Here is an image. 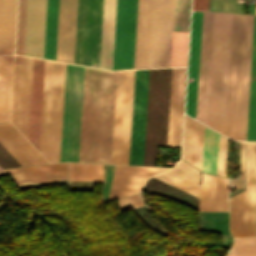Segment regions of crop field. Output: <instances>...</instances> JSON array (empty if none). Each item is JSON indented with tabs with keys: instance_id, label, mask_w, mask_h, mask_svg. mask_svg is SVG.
<instances>
[{
	"instance_id": "obj_9",
	"label": "crop field",
	"mask_w": 256,
	"mask_h": 256,
	"mask_svg": "<svg viewBox=\"0 0 256 256\" xmlns=\"http://www.w3.org/2000/svg\"><path fill=\"white\" fill-rule=\"evenodd\" d=\"M173 0H152L148 68L170 66Z\"/></svg>"
},
{
	"instance_id": "obj_11",
	"label": "crop field",
	"mask_w": 256,
	"mask_h": 256,
	"mask_svg": "<svg viewBox=\"0 0 256 256\" xmlns=\"http://www.w3.org/2000/svg\"><path fill=\"white\" fill-rule=\"evenodd\" d=\"M33 59L15 56L11 122L28 139Z\"/></svg>"
},
{
	"instance_id": "obj_39",
	"label": "crop field",
	"mask_w": 256,
	"mask_h": 256,
	"mask_svg": "<svg viewBox=\"0 0 256 256\" xmlns=\"http://www.w3.org/2000/svg\"><path fill=\"white\" fill-rule=\"evenodd\" d=\"M120 212L129 208L143 206L139 194L118 200Z\"/></svg>"
},
{
	"instance_id": "obj_20",
	"label": "crop field",
	"mask_w": 256,
	"mask_h": 256,
	"mask_svg": "<svg viewBox=\"0 0 256 256\" xmlns=\"http://www.w3.org/2000/svg\"><path fill=\"white\" fill-rule=\"evenodd\" d=\"M199 211H228V179L202 174Z\"/></svg>"
},
{
	"instance_id": "obj_23",
	"label": "crop field",
	"mask_w": 256,
	"mask_h": 256,
	"mask_svg": "<svg viewBox=\"0 0 256 256\" xmlns=\"http://www.w3.org/2000/svg\"><path fill=\"white\" fill-rule=\"evenodd\" d=\"M151 0H138L134 68H147Z\"/></svg>"
},
{
	"instance_id": "obj_5",
	"label": "crop field",
	"mask_w": 256,
	"mask_h": 256,
	"mask_svg": "<svg viewBox=\"0 0 256 256\" xmlns=\"http://www.w3.org/2000/svg\"><path fill=\"white\" fill-rule=\"evenodd\" d=\"M103 0H78L74 63L99 65Z\"/></svg>"
},
{
	"instance_id": "obj_10",
	"label": "crop field",
	"mask_w": 256,
	"mask_h": 256,
	"mask_svg": "<svg viewBox=\"0 0 256 256\" xmlns=\"http://www.w3.org/2000/svg\"><path fill=\"white\" fill-rule=\"evenodd\" d=\"M137 0H117L113 70L133 68Z\"/></svg>"
},
{
	"instance_id": "obj_31",
	"label": "crop field",
	"mask_w": 256,
	"mask_h": 256,
	"mask_svg": "<svg viewBox=\"0 0 256 256\" xmlns=\"http://www.w3.org/2000/svg\"><path fill=\"white\" fill-rule=\"evenodd\" d=\"M58 0H47L44 58L55 60Z\"/></svg>"
},
{
	"instance_id": "obj_21",
	"label": "crop field",
	"mask_w": 256,
	"mask_h": 256,
	"mask_svg": "<svg viewBox=\"0 0 256 256\" xmlns=\"http://www.w3.org/2000/svg\"><path fill=\"white\" fill-rule=\"evenodd\" d=\"M45 61L34 59L29 141L39 151Z\"/></svg>"
},
{
	"instance_id": "obj_13",
	"label": "crop field",
	"mask_w": 256,
	"mask_h": 256,
	"mask_svg": "<svg viewBox=\"0 0 256 256\" xmlns=\"http://www.w3.org/2000/svg\"><path fill=\"white\" fill-rule=\"evenodd\" d=\"M77 0H59L56 60L73 63Z\"/></svg>"
},
{
	"instance_id": "obj_22",
	"label": "crop field",
	"mask_w": 256,
	"mask_h": 256,
	"mask_svg": "<svg viewBox=\"0 0 256 256\" xmlns=\"http://www.w3.org/2000/svg\"><path fill=\"white\" fill-rule=\"evenodd\" d=\"M16 185L67 180V163L9 169Z\"/></svg>"
},
{
	"instance_id": "obj_40",
	"label": "crop field",
	"mask_w": 256,
	"mask_h": 256,
	"mask_svg": "<svg viewBox=\"0 0 256 256\" xmlns=\"http://www.w3.org/2000/svg\"><path fill=\"white\" fill-rule=\"evenodd\" d=\"M208 0H193L192 10L207 11Z\"/></svg>"
},
{
	"instance_id": "obj_4",
	"label": "crop field",
	"mask_w": 256,
	"mask_h": 256,
	"mask_svg": "<svg viewBox=\"0 0 256 256\" xmlns=\"http://www.w3.org/2000/svg\"><path fill=\"white\" fill-rule=\"evenodd\" d=\"M84 67L66 64L60 162H77Z\"/></svg>"
},
{
	"instance_id": "obj_43",
	"label": "crop field",
	"mask_w": 256,
	"mask_h": 256,
	"mask_svg": "<svg viewBox=\"0 0 256 256\" xmlns=\"http://www.w3.org/2000/svg\"><path fill=\"white\" fill-rule=\"evenodd\" d=\"M4 172L1 168H0V173Z\"/></svg>"
},
{
	"instance_id": "obj_8",
	"label": "crop field",
	"mask_w": 256,
	"mask_h": 256,
	"mask_svg": "<svg viewBox=\"0 0 256 256\" xmlns=\"http://www.w3.org/2000/svg\"><path fill=\"white\" fill-rule=\"evenodd\" d=\"M245 15L233 14L225 136L237 140Z\"/></svg>"
},
{
	"instance_id": "obj_3",
	"label": "crop field",
	"mask_w": 256,
	"mask_h": 256,
	"mask_svg": "<svg viewBox=\"0 0 256 256\" xmlns=\"http://www.w3.org/2000/svg\"><path fill=\"white\" fill-rule=\"evenodd\" d=\"M65 64L46 61L40 153L59 162Z\"/></svg>"
},
{
	"instance_id": "obj_37",
	"label": "crop field",
	"mask_w": 256,
	"mask_h": 256,
	"mask_svg": "<svg viewBox=\"0 0 256 256\" xmlns=\"http://www.w3.org/2000/svg\"><path fill=\"white\" fill-rule=\"evenodd\" d=\"M227 256H256V237L234 239V245Z\"/></svg>"
},
{
	"instance_id": "obj_36",
	"label": "crop field",
	"mask_w": 256,
	"mask_h": 256,
	"mask_svg": "<svg viewBox=\"0 0 256 256\" xmlns=\"http://www.w3.org/2000/svg\"><path fill=\"white\" fill-rule=\"evenodd\" d=\"M25 15H26V0H19L18 1L15 54H20V55H23Z\"/></svg>"
},
{
	"instance_id": "obj_1",
	"label": "crop field",
	"mask_w": 256,
	"mask_h": 256,
	"mask_svg": "<svg viewBox=\"0 0 256 256\" xmlns=\"http://www.w3.org/2000/svg\"><path fill=\"white\" fill-rule=\"evenodd\" d=\"M115 78L85 67L78 162L110 163Z\"/></svg>"
},
{
	"instance_id": "obj_18",
	"label": "crop field",
	"mask_w": 256,
	"mask_h": 256,
	"mask_svg": "<svg viewBox=\"0 0 256 256\" xmlns=\"http://www.w3.org/2000/svg\"><path fill=\"white\" fill-rule=\"evenodd\" d=\"M202 12H192L186 113L195 118Z\"/></svg>"
},
{
	"instance_id": "obj_32",
	"label": "crop field",
	"mask_w": 256,
	"mask_h": 256,
	"mask_svg": "<svg viewBox=\"0 0 256 256\" xmlns=\"http://www.w3.org/2000/svg\"><path fill=\"white\" fill-rule=\"evenodd\" d=\"M218 133L205 127L202 171L216 175Z\"/></svg>"
},
{
	"instance_id": "obj_6",
	"label": "crop field",
	"mask_w": 256,
	"mask_h": 256,
	"mask_svg": "<svg viewBox=\"0 0 256 256\" xmlns=\"http://www.w3.org/2000/svg\"><path fill=\"white\" fill-rule=\"evenodd\" d=\"M234 238L256 236V143L246 142V191L230 198Z\"/></svg>"
},
{
	"instance_id": "obj_24",
	"label": "crop field",
	"mask_w": 256,
	"mask_h": 256,
	"mask_svg": "<svg viewBox=\"0 0 256 256\" xmlns=\"http://www.w3.org/2000/svg\"><path fill=\"white\" fill-rule=\"evenodd\" d=\"M203 133V125L184 117L182 159L199 170L202 164Z\"/></svg>"
},
{
	"instance_id": "obj_14",
	"label": "crop field",
	"mask_w": 256,
	"mask_h": 256,
	"mask_svg": "<svg viewBox=\"0 0 256 256\" xmlns=\"http://www.w3.org/2000/svg\"><path fill=\"white\" fill-rule=\"evenodd\" d=\"M46 0H27L24 55L43 58Z\"/></svg>"
},
{
	"instance_id": "obj_26",
	"label": "crop field",
	"mask_w": 256,
	"mask_h": 256,
	"mask_svg": "<svg viewBox=\"0 0 256 256\" xmlns=\"http://www.w3.org/2000/svg\"><path fill=\"white\" fill-rule=\"evenodd\" d=\"M253 16L246 15L238 140H245Z\"/></svg>"
},
{
	"instance_id": "obj_12",
	"label": "crop field",
	"mask_w": 256,
	"mask_h": 256,
	"mask_svg": "<svg viewBox=\"0 0 256 256\" xmlns=\"http://www.w3.org/2000/svg\"><path fill=\"white\" fill-rule=\"evenodd\" d=\"M149 70H135L129 164L143 165Z\"/></svg>"
},
{
	"instance_id": "obj_38",
	"label": "crop field",
	"mask_w": 256,
	"mask_h": 256,
	"mask_svg": "<svg viewBox=\"0 0 256 256\" xmlns=\"http://www.w3.org/2000/svg\"><path fill=\"white\" fill-rule=\"evenodd\" d=\"M228 139L219 135L217 175L225 177Z\"/></svg>"
},
{
	"instance_id": "obj_16",
	"label": "crop field",
	"mask_w": 256,
	"mask_h": 256,
	"mask_svg": "<svg viewBox=\"0 0 256 256\" xmlns=\"http://www.w3.org/2000/svg\"><path fill=\"white\" fill-rule=\"evenodd\" d=\"M185 68H172L167 146L180 148Z\"/></svg>"
},
{
	"instance_id": "obj_41",
	"label": "crop field",
	"mask_w": 256,
	"mask_h": 256,
	"mask_svg": "<svg viewBox=\"0 0 256 256\" xmlns=\"http://www.w3.org/2000/svg\"><path fill=\"white\" fill-rule=\"evenodd\" d=\"M230 189H244V180L230 179Z\"/></svg>"
},
{
	"instance_id": "obj_33",
	"label": "crop field",
	"mask_w": 256,
	"mask_h": 256,
	"mask_svg": "<svg viewBox=\"0 0 256 256\" xmlns=\"http://www.w3.org/2000/svg\"><path fill=\"white\" fill-rule=\"evenodd\" d=\"M70 181L103 180L102 165L69 163Z\"/></svg>"
},
{
	"instance_id": "obj_42",
	"label": "crop field",
	"mask_w": 256,
	"mask_h": 256,
	"mask_svg": "<svg viewBox=\"0 0 256 256\" xmlns=\"http://www.w3.org/2000/svg\"><path fill=\"white\" fill-rule=\"evenodd\" d=\"M240 154H241V178L244 179V142H240Z\"/></svg>"
},
{
	"instance_id": "obj_27",
	"label": "crop field",
	"mask_w": 256,
	"mask_h": 256,
	"mask_svg": "<svg viewBox=\"0 0 256 256\" xmlns=\"http://www.w3.org/2000/svg\"><path fill=\"white\" fill-rule=\"evenodd\" d=\"M116 0H104L100 68L111 69L113 62Z\"/></svg>"
},
{
	"instance_id": "obj_25",
	"label": "crop field",
	"mask_w": 256,
	"mask_h": 256,
	"mask_svg": "<svg viewBox=\"0 0 256 256\" xmlns=\"http://www.w3.org/2000/svg\"><path fill=\"white\" fill-rule=\"evenodd\" d=\"M154 177L199 198L200 171L182 160L174 168Z\"/></svg>"
},
{
	"instance_id": "obj_28",
	"label": "crop field",
	"mask_w": 256,
	"mask_h": 256,
	"mask_svg": "<svg viewBox=\"0 0 256 256\" xmlns=\"http://www.w3.org/2000/svg\"><path fill=\"white\" fill-rule=\"evenodd\" d=\"M17 0H0V54H13Z\"/></svg>"
},
{
	"instance_id": "obj_15",
	"label": "crop field",
	"mask_w": 256,
	"mask_h": 256,
	"mask_svg": "<svg viewBox=\"0 0 256 256\" xmlns=\"http://www.w3.org/2000/svg\"><path fill=\"white\" fill-rule=\"evenodd\" d=\"M164 168L116 165L109 200L137 193L148 176Z\"/></svg>"
},
{
	"instance_id": "obj_7",
	"label": "crop field",
	"mask_w": 256,
	"mask_h": 256,
	"mask_svg": "<svg viewBox=\"0 0 256 256\" xmlns=\"http://www.w3.org/2000/svg\"><path fill=\"white\" fill-rule=\"evenodd\" d=\"M132 71H117L111 163L128 164L132 93Z\"/></svg>"
},
{
	"instance_id": "obj_29",
	"label": "crop field",
	"mask_w": 256,
	"mask_h": 256,
	"mask_svg": "<svg viewBox=\"0 0 256 256\" xmlns=\"http://www.w3.org/2000/svg\"><path fill=\"white\" fill-rule=\"evenodd\" d=\"M246 140L256 141V16L253 24L249 104Z\"/></svg>"
},
{
	"instance_id": "obj_35",
	"label": "crop field",
	"mask_w": 256,
	"mask_h": 256,
	"mask_svg": "<svg viewBox=\"0 0 256 256\" xmlns=\"http://www.w3.org/2000/svg\"><path fill=\"white\" fill-rule=\"evenodd\" d=\"M9 135L28 153V155L37 163L43 164L48 163L25 139L24 137L15 129V127L9 123L0 124Z\"/></svg>"
},
{
	"instance_id": "obj_19",
	"label": "crop field",
	"mask_w": 256,
	"mask_h": 256,
	"mask_svg": "<svg viewBox=\"0 0 256 256\" xmlns=\"http://www.w3.org/2000/svg\"><path fill=\"white\" fill-rule=\"evenodd\" d=\"M190 0H175L173 31H188ZM188 32H173L171 66H186Z\"/></svg>"
},
{
	"instance_id": "obj_17",
	"label": "crop field",
	"mask_w": 256,
	"mask_h": 256,
	"mask_svg": "<svg viewBox=\"0 0 256 256\" xmlns=\"http://www.w3.org/2000/svg\"><path fill=\"white\" fill-rule=\"evenodd\" d=\"M213 12H203L196 120L205 124Z\"/></svg>"
},
{
	"instance_id": "obj_30",
	"label": "crop field",
	"mask_w": 256,
	"mask_h": 256,
	"mask_svg": "<svg viewBox=\"0 0 256 256\" xmlns=\"http://www.w3.org/2000/svg\"><path fill=\"white\" fill-rule=\"evenodd\" d=\"M13 56H0V122L9 121Z\"/></svg>"
},
{
	"instance_id": "obj_34",
	"label": "crop field",
	"mask_w": 256,
	"mask_h": 256,
	"mask_svg": "<svg viewBox=\"0 0 256 256\" xmlns=\"http://www.w3.org/2000/svg\"><path fill=\"white\" fill-rule=\"evenodd\" d=\"M0 143L21 166L36 164L27 153L0 126Z\"/></svg>"
},
{
	"instance_id": "obj_2",
	"label": "crop field",
	"mask_w": 256,
	"mask_h": 256,
	"mask_svg": "<svg viewBox=\"0 0 256 256\" xmlns=\"http://www.w3.org/2000/svg\"><path fill=\"white\" fill-rule=\"evenodd\" d=\"M232 14L214 12L206 126L224 134Z\"/></svg>"
}]
</instances>
